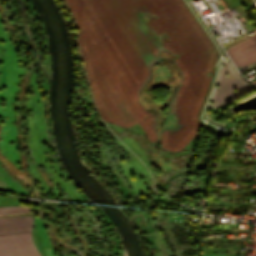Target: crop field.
Masks as SVG:
<instances>
[{
  "mask_svg": "<svg viewBox=\"0 0 256 256\" xmlns=\"http://www.w3.org/2000/svg\"><path fill=\"white\" fill-rule=\"evenodd\" d=\"M31 231V216L0 218V235Z\"/></svg>",
  "mask_w": 256,
  "mask_h": 256,
  "instance_id": "crop-field-2",
  "label": "crop field"
},
{
  "mask_svg": "<svg viewBox=\"0 0 256 256\" xmlns=\"http://www.w3.org/2000/svg\"><path fill=\"white\" fill-rule=\"evenodd\" d=\"M0 256H41L31 232L0 236Z\"/></svg>",
  "mask_w": 256,
  "mask_h": 256,
  "instance_id": "crop-field-1",
  "label": "crop field"
},
{
  "mask_svg": "<svg viewBox=\"0 0 256 256\" xmlns=\"http://www.w3.org/2000/svg\"><path fill=\"white\" fill-rule=\"evenodd\" d=\"M29 211H30V208L27 206H15V207L0 208V214L21 213V212H29Z\"/></svg>",
  "mask_w": 256,
  "mask_h": 256,
  "instance_id": "crop-field-3",
  "label": "crop field"
}]
</instances>
